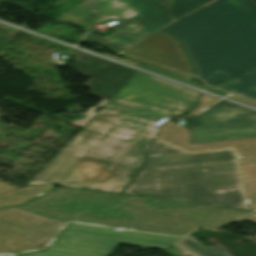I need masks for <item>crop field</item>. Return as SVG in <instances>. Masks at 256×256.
<instances>
[{"label":"crop field","mask_w":256,"mask_h":256,"mask_svg":"<svg viewBox=\"0 0 256 256\" xmlns=\"http://www.w3.org/2000/svg\"><path fill=\"white\" fill-rule=\"evenodd\" d=\"M197 101V91L137 71L26 186L119 192L144 161L156 130L152 124L170 113L184 114Z\"/></svg>","instance_id":"crop-field-1"},{"label":"crop field","mask_w":256,"mask_h":256,"mask_svg":"<svg viewBox=\"0 0 256 256\" xmlns=\"http://www.w3.org/2000/svg\"><path fill=\"white\" fill-rule=\"evenodd\" d=\"M62 221L184 235L198 226L219 228L251 211L59 188L16 206Z\"/></svg>","instance_id":"crop-field-2"},{"label":"crop field","mask_w":256,"mask_h":256,"mask_svg":"<svg viewBox=\"0 0 256 256\" xmlns=\"http://www.w3.org/2000/svg\"><path fill=\"white\" fill-rule=\"evenodd\" d=\"M147 155L143 170L122 193L243 208L231 149L187 153L156 139Z\"/></svg>","instance_id":"crop-field-3"},{"label":"crop field","mask_w":256,"mask_h":256,"mask_svg":"<svg viewBox=\"0 0 256 256\" xmlns=\"http://www.w3.org/2000/svg\"><path fill=\"white\" fill-rule=\"evenodd\" d=\"M164 30L180 40L207 84L256 68L254 0H217Z\"/></svg>","instance_id":"crop-field-4"},{"label":"crop field","mask_w":256,"mask_h":256,"mask_svg":"<svg viewBox=\"0 0 256 256\" xmlns=\"http://www.w3.org/2000/svg\"><path fill=\"white\" fill-rule=\"evenodd\" d=\"M109 18L119 21L114 32L106 37L89 32L85 37L118 51L173 21L150 0H87L54 20L87 31Z\"/></svg>","instance_id":"crop-field-5"},{"label":"crop field","mask_w":256,"mask_h":256,"mask_svg":"<svg viewBox=\"0 0 256 256\" xmlns=\"http://www.w3.org/2000/svg\"><path fill=\"white\" fill-rule=\"evenodd\" d=\"M181 237L69 223L42 251L6 256H110L120 245L163 249Z\"/></svg>","instance_id":"crop-field-6"},{"label":"crop field","mask_w":256,"mask_h":256,"mask_svg":"<svg viewBox=\"0 0 256 256\" xmlns=\"http://www.w3.org/2000/svg\"><path fill=\"white\" fill-rule=\"evenodd\" d=\"M188 124L190 144L256 137V112L224 100Z\"/></svg>","instance_id":"crop-field-7"},{"label":"crop field","mask_w":256,"mask_h":256,"mask_svg":"<svg viewBox=\"0 0 256 256\" xmlns=\"http://www.w3.org/2000/svg\"><path fill=\"white\" fill-rule=\"evenodd\" d=\"M64 224L15 207L0 209V255L39 249Z\"/></svg>","instance_id":"crop-field-8"},{"label":"crop field","mask_w":256,"mask_h":256,"mask_svg":"<svg viewBox=\"0 0 256 256\" xmlns=\"http://www.w3.org/2000/svg\"><path fill=\"white\" fill-rule=\"evenodd\" d=\"M73 70L75 73L91 78L84 86L91 89L92 95L103 98L95 107L89 108L85 119L67 121V123L82 128L135 74L133 70L106 60L75 50Z\"/></svg>","instance_id":"crop-field-9"},{"label":"crop field","mask_w":256,"mask_h":256,"mask_svg":"<svg viewBox=\"0 0 256 256\" xmlns=\"http://www.w3.org/2000/svg\"><path fill=\"white\" fill-rule=\"evenodd\" d=\"M166 34L160 31L140 41L124 53L193 75L192 67L179 42Z\"/></svg>","instance_id":"crop-field-10"},{"label":"crop field","mask_w":256,"mask_h":256,"mask_svg":"<svg viewBox=\"0 0 256 256\" xmlns=\"http://www.w3.org/2000/svg\"><path fill=\"white\" fill-rule=\"evenodd\" d=\"M158 138L176 144L188 151L232 147L236 151L240 164L256 162V138L189 145L188 129L172 121L160 129Z\"/></svg>","instance_id":"crop-field-11"},{"label":"crop field","mask_w":256,"mask_h":256,"mask_svg":"<svg viewBox=\"0 0 256 256\" xmlns=\"http://www.w3.org/2000/svg\"><path fill=\"white\" fill-rule=\"evenodd\" d=\"M215 87L256 100V70L237 74Z\"/></svg>","instance_id":"crop-field-12"},{"label":"crop field","mask_w":256,"mask_h":256,"mask_svg":"<svg viewBox=\"0 0 256 256\" xmlns=\"http://www.w3.org/2000/svg\"><path fill=\"white\" fill-rule=\"evenodd\" d=\"M56 184L23 187L21 189L0 194V207L25 203L34 197L51 190Z\"/></svg>","instance_id":"crop-field-13"},{"label":"crop field","mask_w":256,"mask_h":256,"mask_svg":"<svg viewBox=\"0 0 256 256\" xmlns=\"http://www.w3.org/2000/svg\"><path fill=\"white\" fill-rule=\"evenodd\" d=\"M211 0H155L153 1L174 19Z\"/></svg>","instance_id":"crop-field-14"},{"label":"crop field","mask_w":256,"mask_h":256,"mask_svg":"<svg viewBox=\"0 0 256 256\" xmlns=\"http://www.w3.org/2000/svg\"><path fill=\"white\" fill-rule=\"evenodd\" d=\"M184 252H188L194 256H231L227 252L215 247L204 248L191 236H187L174 244Z\"/></svg>","instance_id":"crop-field-15"},{"label":"crop field","mask_w":256,"mask_h":256,"mask_svg":"<svg viewBox=\"0 0 256 256\" xmlns=\"http://www.w3.org/2000/svg\"><path fill=\"white\" fill-rule=\"evenodd\" d=\"M248 208L256 209V164L241 165Z\"/></svg>","instance_id":"crop-field-16"},{"label":"crop field","mask_w":256,"mask_h":256,"mask_svg":"<svg viewBox=\"0 0 256 256\" xmlns=\"http://www.w3.org/2000/svg\"><path fill=\"white\" fill-rule=\"evenodd\" d=\"M119 55L126 58V59L132 60V61L140 63L142 65H145V66H148V67H151V68H154V69H157V70H160V71H163V72L175 75V76H180V77L187 78V79H190V80L192 79L191 76H188V75H185V74H182V73H179V72H176V71H173V70H170V69L158 66V65H154V64H151V63H148V62H145V61H142V60L124 55V54H121V53H119Z\"/></svg>","instance_id":"crop-field-17"},{"label":"crop field","mask_w":256,"mask_h":256,"mask_svg":"<svg viewBox=\"0 0 256 256\" xmlns=\"http://www.w3.org/2000/svg\"><path fill=\"white\" fill-rule=\"evenodd\" d=\"M217 100H219V99L215 98L213 96L204 94V95L201 96V101H200L199 107L196 108L195 110H193L192 112H190L189 114L193 115V114L207 108L208 106H210L211 104H213Z\"/></svg>","instance_id":"crop-field-18"},{"label":"crop field","mask_w":256,"mask_h":256,"mask_svg":"<svg viewBox=\"0 0 256 256\" xmlns=\"http://www.w3.org/2000/svg\"><path fill=\"white\" fill-rule=\"evenodd\" d=\"M141 68H142V67H141ZM143 69H146V70H149V71H152V72H155V73H158V74H161V75H164V76H167V77H170V78H173V79L179 80V81H182V82H184V83H187V84H190V85H193V86L199 87V88H203V89H206V88H207V87H204V86H201V85L195 84V83H193V82H192V81H190V80L183 79V78H180V77H175V76H172V75H169V74H166V73H163V72H160V71H157V70H154V69H151V68L145 67V66H143Z\"/></svg>","instance_id":"crop-field-19"},{"label":"crop field","mask_w":256,"mask_h":256,"mask_svg":"<svg viewBox=\"0 0 256 256\" xmlns=\"http://www.w3.org/2000/svg\"><path fill=\"white\" fill-rule=\"evenodd\" d=\"M228 97L256 107V102H253L244 98H240L234 95H230Z\"/></svg>","instance_id":"crop-field-20"},{"label":"crop field","mask_w":256,"mask_h":256,"mask_svg":"<svg viewBox=\"0 0 256 256\" xmlns=\"http://www.w3.org/2000/svg\"><path fill=\"white\" fill-rule=\"evenodd\" d=\"M13 189H17V188L10 186L8 184H5L3 182H0V193L9 191V190H13Z\"/></svg>","instance_id":"crop-field-21"},{"label":"crop field","mask_w":256,"mask_h":256,"mask_svg":"<svg viewBox=\"0 0 256 256\" xmlns=\"http://www.w3.org/2000/svg\"><path fill=\"white\" fill-rule=\"evenodd\" d=\"M102 55H105V56H108V57H111V58H114V59H117V60H120V61L129 63V64H131V65H134V66H137V67H140V68L142 67V65H139V64H136V63H133V62H130V61L122 60V59L116 58V57H114V56L105 54V53H103Z\"/></svg>","instance_id":"crop-field-22"},{"label":"crop field","mask_w":256,"mask_h":256,"mask_svg":"<svg viewBox=\"0 0 256 256\" xmlns=\"http://www.w3.org/2000/svg\"><path fill=\"white\" fill-rule=\"evenodd\" d=\"M242 220H246V221H249V222H252V223H256V213L242 219Z\"/></svg>","instance_id":"crop-field-23"},{"label":"crop field","mask_w":256,"mask_h":256,"mask_svg":"<svg viewBox=\"0 0 256 256\" xmlns=\"http://www.w3.org/2000/svg\"><path fill=\"white\" fill-rule=\"evenodd\" d=\"M209 91H211V92H214V93H217V94H220V95H223V96H225V95H227L228 93H226V92H222V91H219V90H216V89H213V88H211V89H208Z\"/></svg>","instance_id":"crop-field-24"},{"label":"crop field","mask_w":256,"mask_h":256,"mask_svg":"<svg viewBox=\"0 0 256 256\" xmlns=\"http://www.w3.org/2000/svg\"><path fill=\"white\" fill-rule=\"evenodd\" d=\"M80 1H82V2H83V1H85V0H80Z\"/></svg>","instance_id":"crop-field-25"},{"label":"crop field","mask_w":256,"mask_h":256,"mask_svg":"<svg viewBox=\"0 0 256 256\" xmlns=\"http://www.w3.org/2000/svg\"><path fill=\"white\" fill-rule=\"evenodd\" d=\"M153 1V0H152Z\"/></svg>","instance_id":"crop-field-26"}]
</instances>
